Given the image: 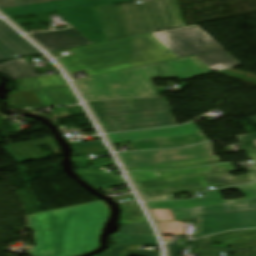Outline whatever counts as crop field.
Listing matches in <instances>:
<instances>
[{"label":"crop field","instance_id":"obj_7","mask_svg":"<svg viewBox=\"0 0 256 256\" xmlns=\"http://www.w3.org/2000/svg\"><path fill=\"white\" fill-rule=\"evenodd\" d=\"M109 137L114 144L131 141L135 150L173 148L208 141L194 123L175 128L113 134Z\"/></svg>","mask_w":256,"mask_h":256},{"label":"crop field","instance_id":"obj_31","mask_svg":"<svg viewBox=\"0 0 256 256\" xmlns=\"http://www.w3.org/2000/svg\"><path fill=\"white\" fill-rule=\"evenodd\" d=\"M131 175L134 178L135 182L159 177L157 172H139L131 173Z\"/></svg>","mask_w":256,"mask_h":256},{"label":"crop field","instance_id":"obj_29","mask_svg":"<svg viewBox=\"0 0 256 256\" xmlns=\"http://www.w3.org/2000/svg\"><path fill=\"white\" fill-rule=\"evenodd\" d=\"M130 100H131L133 109L167 106L163 97L141 98V99H130Z\"/></svg>","mask_w":256,"mask_h":256},{"label":"crop field","instance_id":"obj_34","mask_svg":"<svg viewBox=\"0 0 256 256\" xmlns=\"http://www.w3.org/2000/svg\"><path fill=\"white\" fill-rule=\"evenodd\" d=\"M248 119H250L253 123L256 124V117H251ZM237 138L239 139L240 142L256 140V133L238 136Z\"/></svg>","mask_w":256,"mask_h":256},{"label":"crop field","instance_id":"obj_9","mask_svg":"<svg viewBox=\"0 0 256 256\" xmlns=\"http://www.w3.org/2000/svg\"><path fill=\"white\" fill-rule=\"evenodd\" d=\"M120 156L124 161L127 169L131 170L165 163L210 157L213 156V152L209 142L177 150L120 153Z\"/></svg>","mask_w":256,"mask_h":256},{"label":"crop field","instance_id":"obj_4","mask_svg":"<svg viewBox=\"0 0 256 256\" xmlns=\"http://www.w3.org/2000/svg\"><path fill=\"white\" fill-rule=\"evenodd\" d=\"M142 1L95 8L108 41L185 25L176 0Z\"/></svg>","mask_w":256,"mask_h":256},{"label":"crop field","instance_id":"obj_22","mask_svg":"<svg viewBox=\"0 0 256 256\" xmlns=\"http://www.w3.org/2000/svg\"><path fill=\"white\" fill-rule=\"evenodd\" d=\"M205 191L201 181L143 192L146 201L174 199L172 194Z\"/></svg>","mask_w":256,"mask_h":256},{"label":"crop field","instance_id":"obj_13","mask_svg":"<svg viewBox=\"0 0 256 256\" xmlns=\"http://www.w3.org/2000/svg\"><path fill=\"white\" fill-rule=\"evenodd\" d=\"M90 104L107 133L117 132L110 117L173 111L171 107L132 110L129 99L96 101Z\"/></svg>","mask_w":256,"mask_h":256},{"label":"crop field","instance_id":"obj_12","mask_svg":"<svg viewBox=\"0 0 256 256\" xmlns=\"http://www.w3.org/2000/svg\"><path fill=\"white\" fill-rule=\"evenodd\" d=\"M237 189L245 198L222 200L217 192ZM205 198L196 200L168 201L148 203L150 209H182V208H199L216 204L234 202L239 200L251 199L256 200V183L236 186L228 189L210 191L204 193Z\"/></svg>","mask_w":256,"mask_h":256},{"label":"crop field","instance_id":"obj_5","mask_svg":"<svg viewBox=\"0 0 256 256\" xmlns=\"http://www.w3.org/2000/svg\"><path fill=\"white\" fill-rule=\"evenodd\" d=\"M151 34L178 58L196 55L213 71L241 65L197 25Z\"/></svg>","mask_w":256,"mask_h":256},{"label":"crop field","instance_id":"obj_8","mask_svg":"<svg viewBox=\"0 0 256 256\" xmlns=\"http://www.w3.org/2000/svg\"><path fill=\"white\" fill-rule=\"evenodd\" d=\"M228 164L194 168L180 171L158 172L160 178L136 183L141 191L202 179L206 188L222 185L224 187L254 181L250 174L233 177Z\"/></svg>","mask_w":256,"mask_h":256},{"label":"crop field","instance_id":"obj_36","mask_svg":"<svg viewBox=\"0 0 256 256\" xmlns=\"http://www.w3.org/2000/svg\"><path fill=\"white\" fill-rule=\"evenodd\" d=\"M201 241L200 240H195L192 242L191 245H193L192 251H198L199 246H200Z\"/></svg>","mask_w":256,"mask_h":256},{"label":"crop field","instance_id":"obj_19","mask_svg":"<svg viewBox=\"0 0 256 256\" xmlns=\"http://www.w3.org/2000/svg\"><path fill=\"white\" fill-rule=\"evenodd\" d=\"M256 210L254 199L199 209L171 210L175 220L196 219V215Z\"/></svg>","mask_w":256,"mask_h":256},{"label":"crop field","instance_id":"obj_2","mask_svg":"<svg viewBox=\"0 0 256 256\" xmlns=\"http://www.w3.org/2000/svg\"><path fill=\"white\" fill-rule=\"evenodd\" d=\"M213 73L196 56L171 60L77 81L87 101L153 96L158 94L150 79L181 80Z\"/></svg>","mask_w":256,"mask_h":256},{"label":"crop field","instance_id":"obj_6","mask_svg":"<svg viewBox=\"0 0 256 256\" xmlns=\"http://www.w3.org/2000/svg\"><path fill=\"white\" fill-rule=\"evenodd\" d=\"M130 1L133 0H58L3 9L2 11L8 16H13L57 10L67 21L96 44L107 40L94 7Z\"/></svg>","mask_w":256,"mask_h":256},{"label":"crop field","instance_id":"obj_32","mask_svg":"<svg viewBox=\"0 0 256 256\" xmlns=\"http://www.w3.org/2000/svg\"><path fill=\"white\" fill-rule=\"evenodd\" d=\"M104 146L75 149L72 150L74 154L87 153V154H96V153H106Z\"/></svg>","mask_w":256,"mask_h":256},{"label":"crop field","instance_id":"obj_38","mask_svg":"<svg viewBox=\"0 0 256 256\" xmlns=\"http://www.w3.org/2000/svg\"><path fill=\"white\" fill-rule=\"evenodd\" d=\"M138 170H156L155 166L153 167H147V168H142V169H137V170H131V171H138Z\"/></svg>","mask_w":256,"mask_h":256},{"label":"crop field","instance_id":"obj_26","mask_svg":"<svg viewBox=\"0 0 256 256\" xmlns=\"http://www.w3.org/2000/svg\"><path fill=\"white\" fill-rule=\"evenodd\" d=\"M121 224L146 221L137 203L123 204Z\"/></svg>","mask_w":256,"mask_h":256},{"label":"crop field","instance_id":"obj_14","mask_svg":"<svg viewBox=\"0 0 256 256\" xmlns=\"http://www.w3.org/2000/svg\"><path fill=\"white\" fill-rule=\"evenodd\" d=\"M118 132L176 125L170 112L112 118Z\"/></svg>","mask_w":256,"mask_h":256},{"label":"crop field","instance_id":"obj_28","mask_svg":"<svg viewBox=\"0 0 256 256\" xmlns=\"http://www.w3.org/2000/svg\"><path fill=\"white\" fill-rule=\"evenodd\" d=\"M216 163H219L217 156L204 158V159L185 161V162L159 165V166H156V168L157 170L176 169V168H187V167H195V166H202V165H209V164H216Z\"/></svg>","mask_w":256,"mask_h":256},{"label":"crop field","instance_id":"obj_35","mask_svg":"<svg viewBox=\"0 0 256 256\" xmlns=\"http://www.w3.org/2000/svg\"><path fill=\"white\" fill-rule=\"evenodd\" d=\"M182 248V246L176 245L168 246L170 256H179Z\"/></svg>","mask_w":256,"mask_h":256},{"label":"crop field","instance_id":"obj_3","mask_svg":"<svg viewBox=\"0 0 256 256\" xmlns=\"http://www.w3.org/2000/svg\"><path fill=\"white\" fill-rule=\"evenodd\" d=\"M75 55L60 58L70 73L86 70L90 75L175 58L151 34L71 50ZM169 51L170 54L164 53Z\"/></svg>","mask_w":256,"mask_h":256},{"label":"crop field","instance_id":"obj_25","mask_svg":"<svg viewBox=\"0 0 256 256\" xmlns=\"http://www.w3.org/2000/svg\"><path fill=\"white\" fill-rule=\"evenodd\" d=\"M157 221L173 220V222L159 223L165 235H177L182 233V224L174 222L170 210H152Z\"/></svg>","mask_w":256,"mask_h":256},{"label":"crop field","instance_id":"obj_37","mask_svg":"<svg viewBox=\"0 0 256 256\" xmlns=\"http://www.w3.org/2000/svg\"><path fill=\"white\" fill-rule=\"evenodd\" d=\"M248 154L253 162L256 164V151H249Z\"/></svg>","mask_w":256,"mask_h":256},{"label":"crop field","instance_id":"obj_17","mask_svg":"<svg viewBox=\"0 0 256 256\" xmlns=\"http://www.w3.org/2000/svg\"><path fill=\"white\" fill-rule=\"evenodd\" d=\"M45 145H47L58 156L61 155L60 149L56 145V142L53 139V137L4 146L3 148L11 155V157L18 164H21L25 162L47 158L48 156L39 148Z\"/></svg>","mask_w":256,"mask_h":256},{"label":"crop field","instance_id":"obj_30","mask_svg":"<svg viewBox=\"0 0 256 256\" xmlns=\"http://www.w3.org/2000/svg\"><path fill=\"white\" fill-rule=\"evenodd\" d=\"M45 1H51V0H0V9L45 2Z\"/></svg>","mask_w":256,"mask_h":256},{"label":"crop field","instance_id":"obj_27","mask_svg":"<svg viewBox=\"0 0 256 256\" xmlns=\"http://www.w3.org/2000/svg\"><path fill=\"white\" fill-rule=\"evenodd\" d=\"M159 256L158 252L129 250L128 245H114L106 253L99 256Z\"/></svg>","mask_w":256,"mask_h":256},{"label":"crop field","instance_id":"obj_23","mask_svg":"<svg viewBox=\"0 0 256 256\" xmlns=\"http://www.w3.org/2000/svg\"><path fill=\"white\" fill-rule=\"evenodd\" d=\"M0 73L7 75L12 80L38 77L23 58L0 64Z\"/></svg>","mask_w":256,"mask_h":256},{"label":"crop field","instance_id":"obj_24","mask_svg":"<svg viewBox=\"0 0 256 256\" xmlns=\"http://www.w3.org/2000/svg\"><path fill=\"white\" fill-rule=\"evenodd\" d=\"M18 90L38 89L66 85L60 75L15 81Z\"/></svg>","mask_w":256,"mask_h":256},{"label":"crop field","instance_id":"obj_11","mask_svg":"<svg viewBox=\"0 0 256 256\" xmlns=\"http://www.w3.org/2000/svg\"><path fill=\"white\" fill-rule=\"evenodd\" d=\"M256 211L200 216L197 237L230 229L255 228Z\"/></svg>","mask_w":256,"mask_h":256},{"label":"crop field","instance_id":"obj_18","mask_svg":"<svg viewBox=\"0 0 256 256\" xmlns=\"http://www.w3.org/2000/svg\"><path fill=\"white\" fill-rule=\"evenodd\" d=\"M118 233L112 235L114 244L141 246L158 245L156 238L147 222L121 225Z\"/></svg>","mask_w":256,"mask_h":256},{"label":"crop field","instance_id":"obj_15","mask_svg":"<svg viewBox=\"0 0 256 256\" xmlns=\"http://www.w3.org/2000/svg\"><path fill=\"white\" fill-rule=\"evenodd\" d=\"M31 36L50 52L90 45L76 29L36 33Z\"/></svg>","mask_w":256,"mask_h":256},{"label":"crop field","instance_id":"obj_21","mask_svg":"<svg viewBox=\"0 0 256 256\" xmlns=\"http://www.w3.org/2000/svg\"><path fill=\"white\" fill-rule=\"evenodd\" d=\"M45 106L78 103L68 86L35 90Z\"/></svg>","mask_w":256,"mask_h":256},{"label":"crop field","instance_id":"obj_10","mask_svg":"<svg viewBox=\"0 0 256 256\" xmlns=\"http://www.w3.org/2000/svg\"><path fill=\"white\" fill-rule=\"evenodd\" d=\"M213 241L227 243L233 249L211 246ZM219 252H233V256H256V230L225 232L204 238L198 256H219Z\"/></svg>","mask_w":256,"mask_h":256},{"label":"crop field","instance_id":"obj_1","mask_svg":"<svg viewBox=\"0 0 256 256\" xmlns=\"http://www.w3.org/2000/svg\"><path fill=\"white\" fill-rule=\"evenodd\" d=\"M107 216L108 208L102 201L29 216L36 241L30 255L79 256L97 248Z\"/></svg>","mask_w":256,"mask_h":256},{"label":"crop field","instance_id":"obj_33","mask_svg":"<svg viewBox=\"0 0 256 256\" xmlns=\"http://www.w3.org/2000/svg\"><path fill=\"white\" fill-rule=\"evenodd\" d=\"M99 145H103L101 141L74 143V144H71V147L72 149H75V148H83V147H91V146H99Z\"/></svg>","mask_w":256,"mask_h":256},{"label":"crop field","instance_id":"obj_39","mask_svg":"<svg viewBox=\"0 0 256 256\" xmlns=\"http://www.w3.org/2000/svg\"><path fill=\"white\" fill-rule=\"evenodd\" d=\"M251 171V173L254 175V177L256 178V169H252V170H250Z\"/></svg>","mask_w":256,"mask_h":256},{"label":"crop field","instance_id":"obj_16","mask_svg":"<svg viewBox=\"0 0 256 256\" xmlns=\"http://www.w3.org/2000/svg\"><path fill=\"white\" fill-rule=\"evenodd\" d=\"M38 54L36 49L0 20V62L15 58V55L26 57Z\"/></svg>","mask_w":256,"mask_h":256},{"label":"crop field","instance_id":"obj_20","mask_svg":"<svg viewBox=\"0 0 256 256\" xmlns=\"http://www.w3.org/2000/svg\"><path fill=\"white\" fill-rule=\"evenodd\" d=\"M112 165H115L114 162L87 167L84 169L76 170V172L84 180H86L92 187L96 189L127 185L125 180H123L121 176H113L111 172H106V173L84 172V170L112 166Z\"/></svg>","mask_w":256,"mask_h":256}]
</instances>
